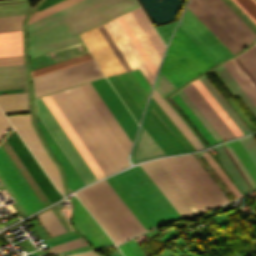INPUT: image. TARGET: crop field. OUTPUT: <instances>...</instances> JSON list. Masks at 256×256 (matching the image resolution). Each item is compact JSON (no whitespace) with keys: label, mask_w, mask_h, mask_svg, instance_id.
I'll return each instance as SVG.
<instances>
[{"label":"crop field","mask_w":256,"mask_h":256,"mask_svg":"<svg viewBox=\"0 0 256 256\" xmlns=\"http://www.w3.org/2000/svg\"><path fill=\"white\" fill-rule=\"evenodd\" d=\"M112 178L152 227L181 219L139 165Z\"/></svg>","instance_id":"crop-field-7"},{"label":"crop field","mask_w":256,"mask_h":256,"mask_svg":"<svg viewBox=\"0 0 256 256\" xmlns=\"http://www.w3.org/2000/svg\"><path fill=\"white\" fill-rule=\"evenodd\" d=\"M75 194L115 244L145 231L105 179Z\"/></svg>","instance_id":"crop-field-5"},{"label":"crop field","mask_w":256,"mask_h":256,"mask_svg":"<svg viewBox=\"0 0 256 256\" xmlns=\"http://www.w3.org/2000/svg\"><path fill=\"white\" fill-rule=\"evenodd\" d=\"M209 92L214 96L230 118L235 122L239 129L243 132L244 135L251 133L249 129L244 125V123L239 119L235 112L230 108V106L225 102V100L220 96L216 89L211 85V83L206 79L205 76L199 78Z\"/></svg>","instance_id":"crop-field-29"},{"label":"crop field","mask_w":256,"mask_h":256,"mask_svg":"<svg viewBox=\"0 0 256 256\" xmlns=\"http://www.w3.org/2000/svg\"><path fill=\"white\" fill-rule=\"evenodd\" d=\"M141 126L166 155L194 150L152 97Z\"/></svg>","instance_id":"crop-field-9"},{"label":"crop field","mask_w":256,"mask_h":256,"mask_svg":"<svg viewBox=\"0 0 256 256\" xmlns=\"http://www.w3.org/2000/svg\"><path fill=\"white\" fill-rule=\"evenodd\" d=\"M0 175L28 215L44 208L0 145Z\"/></svg>","instance_id":"crop-field-13"},{"label":"crop field","mask_w":256,"mask_h":256,"mask_svg":"<svg viewBox=\"0 0 256 256\" xmlns=\"http://www.w3.org/2000/svg\"><path fill=\"white\" fill-rule=\"evenodd\" d=\"M131 155L138 161L164 156L163 151L150 136L140 127Z\"/></svg>","instance_id":"crop-field-22"},{"label":"crop field","mask_w":256,"mask_h":256,"mask_svg":"<svg viewBox=\"0 0 256 256\" xmlns=\"http://www.w3.org/2000/svg\"><path fill=\"white\" fill-rule=\"evenodd\" d=\"M48 201L52 204L62 198L13 130L6 139Z\"/></svg>","instance_id":"crop-field-14"},{"label":"crop field","mask_w":256,"mask_h":256,"mask_svg":"<svg viewBox=\"0 0 256 256\" xmlns=\"http://www.w3.org/2000/svg\"><path fill=\"white\" fill-rule=\"evenodd\" d=\"M230 145L232 146L235 153L237 154V156L239 157V159L243 163L244 167L246 168V170L248 171V173L250 174V176L252 177L253 181L256 184V167H255V165L253 164V162L251 161V159L249 158L247 153L244 151V149L242 148V146L240 145L238 140L231 142Z\"/></svg>","instance_id":"crop-field-37"},{"label":"crop field","mask_w":256,"mask_h":256,"mask_svg":"<svg viewBox=\"0 0 256 256\" xmlns=\"http://www.w3.org/2000/svg\"><path fill=\"white\" fill-rule=\"evenodd\" d=\"M74 256H99V255L96 254L94 251H90V252H86V253H83V254H77V255H74Z\"/></svg>","instance_id":"crop-field-51"},{"label":"crop field","mask_w":256,"mask_h":256,"mask_svg":"<svg viewBox=\"0 0 256 256\" xmlns=\"http://www.w3.org/2000/svg\"><path fill=\"white\" fill-rule=\"evenodd\" d=\"M111 23L153 84L165 47L141 8L125 13ZM111 23L105 22L80 34L92 56L106 77L139 68L147 79Z\"/></svg>","instance_id":"crop-field-1"},{"label":"crop field","mask_w":256,"mask_h":256,"mask_svg":"<svg viewBox=\"0 0 256 256\" xmlns=\"http://www.w3.org/2000/svg\"><path fill=\"white\" fill-rule=\"evenodd\" d=\"M234 3L256 24V1L233 0Z\"/></svg>","instance_id":"crop-field-40"},{"label":"crop field","mask_w":256,"mask_h":256,"mask_svg":"<svg viewBox=\"0 0 256 256\" xmlns=\"http://www.w3.org/2000/svg\"><path fill=\"white\" fill-rule=\"evenodd\" d=\"M151 96L169 116V118L174 122V124L179 128V130L184 134V136L189 140V142L194 146V148L196 150L203 149V146L200 144L194 134L189 130V128L184 124V122L179 118V116L173 111V109L167 104V102L158 94L155 89H153Z\"/></svg>","instance_id":"crop-field-23"},{"label":"crop field","mask_w":256,"mask_h":256,"mask_svg":"<svg viewBox=\"0 0 256 256\" xmlns=\"http://www.w3.org/2000/svg\"><path fill=\"white\" fill-rule=\"evenodd\" d=\"M216 70L223 77V79L228 83V85L233 89V91L238 95V97L242 100V102L247 106V108L252 112V114L256 117L255 104L250 100V98L245 94V92L240 88V86L225 70L223 65Z\"/></svg>","instance_id":"crop-field-32"},{"label":"crop field","mask_w":256,"mask_h":256,"mask_svg":"<svg viewBox=\"0 0 256 256\" xmlns=\"http://www.w3.org/2000/svg\"><path fill=\"white\" fill-rule=\"evenodd\" d=\"M118 248L122 251L124 256H135L129 246L125 243L118 245Z\"/></svg>","instance_id":"crop-field-49"},{"label":"crop field","mask_w":256,"mask_h":256,"mask_svg":"<svg viewBox=\"0 0 256 256\" xmlns=\"http://www.w3.org/2000/svg\"><path fill=\"white\" fill-rule=\"evenodd\" d=\"M59 1H61V0H45L44 3L38 8L37 11H39V10H41L43 8H46V7H48V6H50V5L54 4V3H57Z\"/></svg>","instance_id":"crop-field-50"},{"label":"crop field","mask_w":256,"mask_h":256,"mask_svg":"<svg viewBox=\"0 0 256 256\" xmlns=\"http://www.w3.org/2000/svg\"><path fill=\"white\" fill-rule=\"evenodd\" d=\"M234 59L256 85V52L253 48L251 47Z\"/></svg>","instance_id":"crop-field-31"},{"label":"crop field","mask_w":256,"mask_h":256,"mask_svg":"<svg viewBox=\"0 0 256 256\" xmlns=\"http://www.w3.org/2000/svg\"><path fill=\"white\" fill-rule=\"evenodd\" d=\"M34 102L37 115L44 123L54 140L57 142L85 184L87 185L96 181V178L89 170L81 156L78 154L70 140L67 138L59 124L56 122L48 108L45 106L41 98L35 99Z\"/></svg>","instance_id":"crop-field-11"},{"label":"crop field","mask_w":256,"mask_h":256,"mask_svg":"<svg viewBox=\"0 0 256 256\" xmlns=\"http://www.w3.org/2000/svg\"><path fill=\"white\" fill-rule=\"evenodd\" d=\"M180 97L185 101L189 108L194 112L202 124L207 128L211 135L216 139L217 142L222 141L220 136L215 132V130L210 126V124L205 120V118L199 113V111L194 107V105L189 101V99L181 91L178 93Z\"/></svg>","instance_id":"crop-field-41"},{"label":"crop field","mask_w":256,"mask_h":256,"mask_svg":"<svg viewBox=\"0 0 256 256\" xmlns=\"http://www.w3.org/2000/svg\"><path fill=\"white\" fill-rule=\"evenodd\" d=\"M159 161L200 212L229 202L192 154Z\"/></svg>","instance_id":"crop-field-6"},{"label":"crop field","mask_w":256,"mask_h":256,"mask_svg":"<svg viewBox=\"0 0 256 256\" xmlns=\"http://www.w3.org/2000/svg\"><path fill=\"white\" fill-rule=\"evenodd\" d=\"M135 0H82L28 25L30 58L81 43L78 33L137 7Z\"/></svg>","instance_id":"crop-field-2"},{"label":"crop field","mask_w":256,"mask_h":256,"mask_svg":"<svg viewBox=\"0 0 256 256\" xmlns=\"http://www.w3.org/2000/svg\"><path fill=\"white\" fill-rule=\"evenodd\" d=\"M117 77L122 82L128 93L131 95L137 106L143 112L148 97L137 83L133 75L130 73V71H128L125 73L117 74Z\"/></svg>","instance_id":"crop-field-26"},{"label":"crop field","mask_w":256,"mask_h":256,"mask_svg":"<svg viewBox=\"0 0 256 256\" xmlns=\"http://www.w3.org/2000/svg\"><path fill=\"white\" fill-rule=\"evenodd\" d=\"M27 92L24 64L0 66V94Z\"/></svg>","instance_id":"crop-field-20"},{"label":"crop field","mask_w":256,"mask_h":256,"mask_svg":"<svg viewBox=\"0 0 256 256\" xmlns=\"http://www.w3.org/2000/svg\"><path fill=\"white\" fill-rule=\"evenodd\" d=\"M155 88L163 95H167L176 89L160 72L156 81ZM166 97V96H165Z\"/></svg>","instance_id":"crop-field-44"},{"label":"crop field","mask_w":256,"mask_h":256,"mask_svg":"<svg viewBox=\"0 0 256 256\" xmlns=\"http://www.w3.org/2000/svg\"><path fill=\"white\" fill-rule=\"evenodd\" d=\"M0 108L5 115L29 113L27 93L0 95Z\"/></svg>","instance_id":"crop-field-24"},{"label":"crop field","mask_w":256,"mask_h":256,"mask_svg":"<svg viewBox=\"0 0 256 256\" xmlns=\"http://www.w3.org/2000/svg\"><path fill=\"white\" fill-rule=\"evenodd\" d=\"M140 166L182 218L199 213L158 160L140 164Z\"/></svg>","instance_id":"crop-field-10"},{"label":"crop field","mask_w":256,"mask_h":256,"mask_svg":"<svg viewBox=\"0 0 256 256\" xmlns=\"http://www.w3.org/2000/svg\"><path fill=\"white\" fill-rule=\"evenodd\" d=\"M225 68L230 72L234 79L239 83L243 90L248 94L252 101L256 104V86L234 61L227 64Z\"/></svg>","instance_id":"crop-field-27"},{"label":"crop field","mask_w":256,"mask_h":256,"mask_svg":"<svg viewBox=\"0 0 256 256\" xmlns=\"http://www.w3.org/2000/svg\"><path fill=\"white\" fill-rule=\"evenodd\" d=\"M195 87L200 91V93L205 97V99L210 103V105L215 109V111L220 115V117L225 121V123L230 127V129L235 133L236 136H242V132L234 124V122L229 118L213 96L208 92L200 80L192 82Z\"/></svg>","instance_id":"crop-field-28"},{"label":"crop field","mask_w":256,"mask_h":256,"mask_svg":"<svg viewBox=\"0 0 256 256\" xmlns=\"http://www.w3.org/2000/svg\"><path fill=\"white\" fill-rule=\"evenodd\" d=\"M24 63L23 55L0 57V65Z\"/></svg>","instance_id":"crop-field-47"},{"label":"crop field","mask_w":256,"mask_h":256,"mask_svg":"<svg viewBox=\"0 0 256 256\" xmlns=\"http://www.w3.org/2000/svg\"><path fill=\"white\" fill-rule=\"evenodd\" d=\"M182 91L223 140L236 137L192 83L185 87Z\"/></svg>","instance_id":"crop-field-18"},{"label":"crop field","mask_w":256,"mask_h":256,"mask_svg":"<svg viewBox=\"0 0 256 256\" xmlns=\"http://www.w3.org/2000/svg\"><path fill=\"white\" fill-rule=\"evenodd\" d=\"M25 15L0 17V32L17 31L21 29V23Z\"/></svg>","instance_id":"crop-field-39"},{"label":"crop field","mask_w":256,"mask_h":256,"mask_svg":"<svg viewBox=\"0 0 256 256\" xmlns=\"http://www.w3.org/2000/svg\"><path fill=\"white\" fill-rule=\"evenodd\" d=\"M23 54L22 31L0 33V56Z\"/></svg>","instance_id":"crop-field-25"},{"label":"crop field","mask_w":256,"mask_h":256,"mask_svg":"<svg viewBox=\"0 0 256 256\" xmlns=\"http://www.w3.org/2000/svg\"><path fill=\"white\" fill-rule=\"evenodd\" d=\"M216 63L233 55L210 30L187 9L179 25ZM178 26L160 72L177 88L216 63Z\"/></svg>","instance_id":"crop-field-3"},{"label":"crop field","mask_w":256,"mask_h":256,"mask_svg":"<svg viewBox=\"0 0 256 256\" xmlns=\"http://www.w3.org/2000/svg\"><path fill=\"white\" fill-rule=\"evenodd\" d=\"M106 176L123 169L122 150L80 86L51 94Z\"/></svg>","instance_id":"crop-field-4"},{"label":"crop field","mask_w":256,"mask_h":256,"mask_svg":"<svg viewBox=\"0 0 256 256\" xmlns=\"http://www.w3.org/2000/svg\"><path fill=\"white\" fill-rule=\"evenodd\" d=\"M225 147L227 148V150L229 151V153L231 154V156L233 157V159L235 160V162L237 163V165L239 166V168L241 169V171L243 172V174L245 175V177L247 178V180L249 181V183L251 184L253 189L256 188V185L252 181L251 177L249 176V174L243 167L242 163L240 162V160L238 159V157L236 156V154L234 153V151L232 150L230 145L227 143V144H225Z\"/></svg>","instance_id":"crop-field-45"},{"label":"crop field","mask_w":256,"mask_h":256,"mask_svg":"<svg viewBox=\"0 0 256 256\" xmlns=\"http://www.w3.org/2000/svg\"><path fill=\"white\" fill-rule=\"evenodd\" d=\"M202 156L206 159V161L210 164V166L214 169V171L218 174V176L223 180V182L227 185V187L231 190V192L235 195L236 198L242 197L241 193L238 191L233 182L227 177V175L223 172L220 166L216 163V161L209 155L207 151L201 152Z\"/></svg>","instance_id":"crop-field-36"},{"label":"crop field","mask_w":256,"mask_h":256,"mask_svg":"<svg viewBox=\"0 0 256 256\" xmlns=\"http://www.w3.org/2000/svg\"><path fill=\"white\" fill-rule=\"evenodd\" d=\"M102 77H103V75H102V73H100V74L93 75V76H90V77H87V78H84V79H80V80H77V81H74V82H71V83H68V84L58 86V87H55V88H51V89H48V90H45V91H42V92L35 93L34 96L35 97L41 96V95H44V94H47V93L58 91V90H61V89H64V88L75 86V85L85 83V82H88V81H92V80L102 78Z\"/></svg>","instance_id":"crop-field-42"},{"label":"crop field","mask_w":256,"mask_h":256,"mask_svg":"<svg viewBox=\"0 0 256 256\" xmlns=\"http://www.w3.org/2000/svg\"><path fill=\"white\" fill-rule=\"evenodd\" d=\"M239 142L256 165V141L252 135L239 139Z\"/></svg>","instance_id":"crop-field-43"},{"label":"crop field","mask_w":256,"mask_h":256,"mask_svg":"<svg viewBox=\"0 0 256 256\" xmlns=\"http://www.w3.org/2000/svg\"><path fill=\"white\" fill-rule=\"evenodd\" d=\"M92 85V84H91ZM90 85V83L81 85V88L91 101V103L94 105L114 137L117 139L123 150L128 155L130 147L132 145L131 141L128 139L124 131L121 129L119 124L116 122L112 114L109 112L105 104L102 102L100 97L97 95L93 87Z\"/></svg>","instance_id":"crop-field-19"},{"label":"crop field","mask_w":256,"mask_h":256,"mask_svg":"<svg viewBox=\"0 0 256 256\" xmlns=\"http://www.w3.org/2000/svg\"><path fill=\"white\" fill-rule=\"evenodd\" d=\"M172 98L178 104V106L183 110V112L187 115V117L191 120V122L196 126V128L200 131V133L205 137V139L210 143V145L216 143L215 139L210 135V133L201 124V122L197 119V117L193 114V112L188 108V106L184 103V101L179 97V95L177 94Z\"/></svg>","instance_id":"crop-field-34"},{"label":"crop field","mask_w":256,"mask_h":256,"mask_svg":"<svg viewBox=\"0 0 256 256\" xmlns=\"http://www.w3.org/2000/svg\"><path fill=\"white\" fill-rule=\"evenodd\" d=\"M131 73L134 75V77L136 78L138 83L141 85V87L143 88L145 93L149 96V92H150L151 87L148 84V82L146 81V79L143 77V75L141 74L139 69L133 70V71H131Z\"/></svg>","instance_id":"crop-field-46"},{"label":"crop field","mask_w":256,"mask_h":256,"mask_svg":"<svg viewBox=\"0 0 256 256\" xmlns=\"http://www.w3.org/2000/svg\"><path fill=\"white\" fill-rule=\"evenodd\" d=\"M72 200L74 203L72 222L75 230L81 233L93 248L113 244L75 196Z\"/></svg>","instance_id":"crop-field-17"},{"label":"crop field","mask_w":256,"mask_h":256,"mask_svg":"<svg viewBox=\"0 0 256 256\" xmlns=\"http://www.w3.org/2000/svg\"><path fill=\"white\" fill-rule=\"evenodd\" d=\"M214 149L219 154L216 157L224 165V167L230 173V175L235 180V182L238 184V186L242 189V191L245 194L248 193L250 191L249 188L247 187V185L245 184V182L243 181V179L241 178V176L239 175V173L237 172V170L235 169V167L233 166V164L231 163V161L229 160V158L227 157V155L225 154V152L223 151L221 146H218Z\"/></svg>","instance_id":"crop-field-33"},{"label":"crop field","mask_w":256,"mask_h":256,"mask_svg":"<svg viewBox=\"0 0 256 256\" xmlns=\"http://www.w3.org/2000/svg\"><path fill=\"white\" fill-rule=\"evenodd\" d=\"M39 129L41 130L50 150L54 154V156L57 158V160L62 165L64 172H65V178L67 180L68 189L70 191L79 188L84 185L80 177L77 175L67 158L64 156L58 145L55 143L51 135L48 133L44 125L41 123V121L36 122Z\"/></svg>","instance_id":"crop-field-21"},{"label":"crop field","mask_w":256,"mask_h":256,"mask_svg":"<svg viewBox=\"0 0 256 256\" xmlns=\"http://www.w3.org/2000/svg\"><path fill=\"white\" fill-rule=\"evenodd\" d=\"M188 8L233 54L256 38L222 0H192Z\"/></svg>","instance_id":"crop-field-8"},{"label":"crop field","mask_w":256,"mask_h":256,"mask_svg":"<svg viewBox=\"0 0 256 256\" xmlns=\"http://www.w3.org/2000/svg\"><path fill=\"white\" fill-rule=\"evenodd\" d=\"M106 180L111 185V187L116 191V193L120 196V198L124 201V203L128 206V208L132 211V213L141 222V224L145 227V229L148 230V229L152 228L150 226V224L145 220V218L140 214V212L136 209V207L131 203V201L122 192V190L113 181L114 179L112 180V178L109 177V178H106Z\"/></svg>","instance_id":"crop-field-38"},{"label":"crop field","mask_w":256,"mask_h":256,"mask_svg":"<svg viewBox=\"0 0 256 256\" xmlns=\"http://www.w3.org/2000/svg\"><path fill=\"white\" fill-rule=\"evenodd\" d=\"M100 73L94 60L33 78L34 93Z\"/></svg>","instance_id":"crop-field-16"},{"label":"crop field","mask_w":256,"mask_h":256,"mask_svg":"<svg viewBox=\"0 0 256 256\" xmlns=\"http://www.w3.org/2000/svg\"><path fill=\"white\" fill-rule=\"evenodd\" d=\"M91 84L122 129L125 131L129 139L133 142L138 125L113 91L109 83L106 79L102 78L91 82Z\"/></svg>","instance_id":"crop-field-15"},{"label":"crop field","mask_w":256,"mask_h":256,"mask_svg":"<svg viewBox=\"0 0 256 256\" xmlns=\"http://www.w3.org/2000/svg\"><path fill=\"white\" fill-rule=\"evenodd\" d=\"M11 128L10 123L0 111V139Z\"/></svg>","instance_id":"crop-field-48"},{"label":"crop field","mask_w":256,"mask_h":256,"mask_svg":"<svg viewBox=\"0 0 256 256\" xmlns=\"http://www.w3.org/2000/svg\"><path fill=\"white\" fill-rule=\"evenodd\" d=\"M254 48V50L256 51V43L252 46Z\"/></svg>","instance_id":"crop-field-52"},{"label":"crop field","mask_w":256,"mask_h":256,"mask_svg":"<svg viewBox=\"0 0 256 256\" xmlns=\"http://www.w3.org/2000/svg\"><path fill=\"white\" fill-rule=\"evenodd\" d=\"M88 60H92V57L90 56V54L84 55V56H81V57H78V58H74V59H71V60H67V61H64V62H60V63L54 64V65H50V66H47V67H43V68H40V69H37V70H33L32 71V77L38 76V75H41V74H44V73H48V72H51V71H55V70H58V69H61V68H65V67H68V66H71V65H75V64H78V63H82V62H85V61H88Z\"/></svg>","instance_id":"crop-field-35"},{"label":"crop field","mask_w":256,"mask_h":256,"mask_svg":"<svg viewBox=\"0 0 256 256\" xmlns=\"http://www.w3.org/2000/svg\"><path fill=\"white\" fill-rule=\"evenodd\" d=\"M21 138L24 140L30 151L33 153L39 164L42 166L46 174L49 176L56 188L64 195L59 171L55 164L51 161L46 151L42 147L37 135L35 134L31 124L29 115L8 117Z\"/></svg>","instance_id":"crop-field-12"},{"label":"crop field","mask_w":256,"mask_h":256,"mask_svg":"<svg viewBox=\"0 0 256 256\" xmlns=\"http://www.w3.org/2000/svg\"><path fill=\"white\" fill-rule=\"evenodd\" d=\"M108 80L110 81L114 89L117 91V93L119 94V96L121 97V99L123 100L127 108L129 109V111L132 113V115L136 119V121L139 123L142 113L139 110V108L136 106V104L134 103L130 95L127 93V91L125 90L121 82L118 80L116 75L108 77Z\"/></svg>","instance_id":"crop-field-30"}]
</instances>
